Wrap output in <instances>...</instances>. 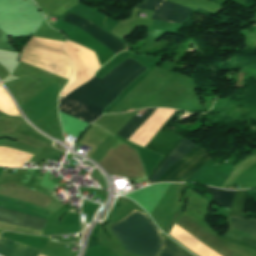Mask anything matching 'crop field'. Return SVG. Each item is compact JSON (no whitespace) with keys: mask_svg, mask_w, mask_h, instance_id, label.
<instances>
[{"mask_svg":"<svg viewBox=\"0 0 256 256\" xmlns=\"http://www.w3.org/2000/svg\"><path fill=\"white\" fill-rule=\"evenodd\" d=\"M146 70L128 58L102 79L93 77L59 100V112L89 124L98 119L119 93Z\"/></svg>","mask_w":256,"mask_h":256,"instance_id":"crop-field-1","label":"crop field"},{"mask_svg":"<svg viewBox=\"0 0 256 256\" xmlns=\"http://www.w3.org/2000/svg\"><path fill=\"white\" fill-rule=\"evenodd\" d=\"M244 220L256 223V221H254V220H248V219H244ZM244 220L232 217L231 222L235 229H238L243 232H246V233L256 236V224H253V223H250V222H247Z\"/></svg>","mask_w":256,"mask_h":256,"instance_id":"crop-field-12","label":"crop field"},{"mask_svg":"<svg viewBox=\"0 0 256 256\" xmlns=\"http://www.w3.org/2000/svg\"><path fill=\"white\" fill-rule=\"evenodd\" d=\"M194 145L184 138L147 183L161 182Z\"/></svg>","mask_w":256,"mask_h":256,"instance_id":"crop-field-8","label":"crop field"},{"mask_svg":"<svg viewBox=\"0 0 256 256\" xmlns=\"http://www.w3.org/2000/svg\"><path fill=\"white\" fill-rule=\"evenodd\" d=\"M162 246L158 256H190L170 241L165 238H161Z\"/></svg>","mask_w":256,"mask_h":256,"instance_id":"crop-field-11","label":"crop field"},{"mask_svg":"<svg viewBox=\"0 0 256 256\" xmlns=\"http://www.w3.org/2000/svg\"><path fill=\"white\" fill-rule=\"evenodd\" d=\"M206 192L213 195V200L217 204L230 208L236 191H224L221 189L208 187Z\"/></svg>","mask_w":256,"mask_h":256,"instance_id":"crop-field-10","label":"crop field"},{"mask_svg":"<svg viewBox=\"0 0 256 256\" xmlns=\"http://www.w3.org/2000/svg\"><path fill=\"white\" fill-rule=\"evenodd\" d=\"M244 203H245L244 190L237 191L229 215L241 218Z\"/></svg>","mask_w":256,"mask_h":256,"instance_id":"crop-field-13","label":"crop field"},{"mask_svg":"<svg viewBox=\"0 0 256 256\" xmlns=\"http://www.w3.org/2000/svg\"><path fill=\"white\" fill-rule=\"evenodd\" d=\"M136 8L154 12L152 19L182 24L192 9L164 0H147Z\"/></svg>","mask_w":256,"mask_h":256,"instance_id":"crop-field-5","label":"crop field"},{"mask_svg":"<svg viewBox=\"0 0 256 256\" xmlns=\"http://www.w3.org/2000/svg\"><path fill=\"white\" fill-rule=\"evenodd\" d=\"M154 110L148 109L141 117L134 115L117 135L127 140Z\"/></svg>","mask_w":256,"mask_h":256,"instance_id":"crop-field-9","label":"crop field"},{"mask_svg":"<svg viewBox=\"0 0 256 256\" xmlns=\"http://www.w3.org/2000/svg\"><path fill=\"white\" fill-rule=\"evenodd\" d=\"M199 147L195 145L190 152L179 162V164L167 175V177L187 160ZM210 157L201 148L185 161L163 182H184L196 170H198Z\"/></svg>","mask_w":256,"mask_h":256,"instance_id":"crop-field-6","label":"crop field"},{"mask_svg":"<svg viewBox=\"0 0 256 256\" xmlns=\"http://www.w3.org/2000/svg\"><path fill=\"white\" fill-rule=\"evenodd\" d=\"M135 212L136 211L132 212L131 214H129L128 216H126L125 218L120 220L118 223H120L121 221H123L124 219L129 217L130 215L134 214ZM118 223H116L115 225H117ZM115 225H113L110 229L117 236L120 244L127 252H129L133 255H136V256H141V255L157 256L159 247H160L159 231L154 227L153 223L148 218V216H146L140 212H137L134 215H132L131 217H129L126 220H124L123 222H121L120 224H118L116 227L131 231L134 233H138V234H141V235H144V236H147V237L159 240V241L116 228V227H114ZM113 228L136 235L138 237H141V238H144V239H147V240L159 243V244H156V243L138 238L136 236L115 230L118 233V235L121 237L123 242L126 244V246L129 248V250L136 252L138 254H141V255H138V254L133 253L128 250V248L125 246V244L119 238V236L116 234V232L114 231Z\"/></svg>","mask_w":256,"mask_h":256,"instance_id":"crop-field-2","label":"crop field"},{"mask_svg":"<svg viewBox=\"0 0 256 256\" xmlns=\"http://www.w3.org/2000/svg\"><path fill=\"white\" fill-rule=\"evenodd\" d=\"M180 113L181 111H177L172 116V118L161 128V130L145 146V148L164 156L163 159L156 166V168L149 175L146 182L149 180V178L154 174V172L160 167V165L165 161V159L170 155V153L176 148V146L184 138L179 134L168 129V126L170 125V123L174 119H176Z\"/></svg>","mask_w":256,"mask_h":256,"instance_id":"crop-field-4","label":"crop field"},{"mask_svg":"<svg viewBox=\"0 0 256 256\" xmlns=\"http://www.w3.org/2000/svg\"><path fill=\"white\" fill-rule=\"evenodd\" d=\"M0 206L49 219L53 212L42 207L0 196ZM0 207V221L42 230L47 219L15 212Z\"/></svg>","mask_w":256,"mask_h":256,"instance_id":"crop-field-3","label":"crop field"},{"mask_svg":"<svg viewBox=\"0 0 256 256\" xmlns=\"http://www.w3.org/2000/svg\"><path fill=\"white\" fill-rule=\"evenodd\" d=\"M62 21L69 22L73 24L76 27L82 28L85 30L88 34H90L93 38H95L97 41L105 45L107 48H109L112 52L115 54L119 53L124 49L123 43L119 41L118 39L114 38L101 28L97 27L93 23L74 15L70 12H67V14L64 16Z\"/></svg>","mask_w":256,"mask_h":256,"instance_id":"crop-field-7","label":"crop field"}]
</instances>
